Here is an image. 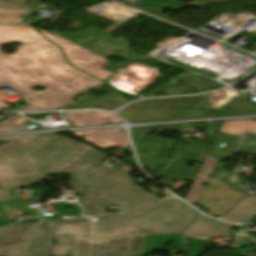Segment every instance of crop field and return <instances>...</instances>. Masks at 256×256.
<instances>
[{
  "instance_id": "1",
  "label": "crop field",
  "mask_w": 256,
  "mask_h": 256,
  "mask_svg": "<svg viewBox=\"0 0 256 256\" xmlns=\"http://www.w3.org/2000/svg\"><path fill=\"white\" fill-rule=\"evenodd\" d=\"M95 149L58 136L38 135L18 150L0 152V189L39 182L43 173L72 174V187L86 196L85 215L103 214V206H121V214L143 212L172 197L151 195L130 183L131 167L109 168Z\"/></svg>"
},
{
  "instance_id": "2",
  "label": "crop field",
  "mask_w": 256,
  "mask_h": 256,
  "mask_svg": "<svg viewBox=\"0 0 256 256\" xmlns=\"http://www.w3.org/2000/svg\"><path fill=\"white\" fill-rule=\"evenodd\" d=\"M11 42H23V45L16 54L0 53V83H11L31 106L20 111L54 110L67 104L81 90L104 84L68 65L59 48L31 27L0 26V47ZM37 85L45 90L31 92ZM0 108L11 110L1 100Z\"/></svg>"
},
{
  "instance_id": "3",
  "label": "crop field",
  "mask_w": 256,
  "mask_h": 256,
  "mask_svg": "<svg viewBox=\"0 0 256 256\" xmlns=\"http://www.w3.org/2000/svg\"><path fill=\"white\" fill-rule=\"evenodd\" d=\"M198 211L173 198L137 216H99L91 256H137L146 234H182Z\"/></svg>"
},
{
  "instance_id": "4",
  "label": "crop field",
  "mask_w": 256,
  "mask_h": 256,
  "mask_svg": "<svg viewBox=\"0 0 256 256\" xmlns=\"http://www.w3.org/2000/svg\"><path fill=\"white\" fill-rule=\"evenodd\" d=\"M105 59L117 56L127 61L148 58L137 53L128 54V41L120 37L118 39L111 38L110 34L92 28L85 32L63 33L53 32ZM131 50V49H130Z\"/></svg>"
},
{
  "instance_id": "5",
  "label": "crop field",
  "mask_w": 256,
  "mask_h": 256,
  "mask_svg": "<svg viewBox=\"0 0 256 256\" xmlns=\"http://www.w3.org/2000/svg\"><path fill=\"white\" fill-rule=\"evenodd\" d=\"M56 237L61 241L54 246L57 256H88L93 225L88 218L69 221H51Z\"/></svg>"
},
{
  "instance_id": "6",
  "label": "crop field",
  "mask_w": 256,
  "mask_h": 256,
  "mask_svg": "<svg viewBox=\"0 0 256 256\" xmlns=\"http://www.w3.org/2000/svg\"><path fill=\"white\" fill-rule=\"evenodd\" d=\"M182 143L185 146H181ZM179 141L170 164L161 171L153 174L163 176L166 181L184 180L194 181L199 169L185 168L188 161L202 162L209 147L207 145Z\"/></svg>"
},
{
  "instance_id": "7",
  "label": "crop field",
  "mask_w": 256,
  "mask_h": 256,
  "mask_svg": "<svg viewBox=\"0 0 256 256\" xmlns=\"http://www.w3.org/2000/svg\"><path fill=\"white\" fill-rule=\"evenodd\" d=\"M37 29L41 31L53 43L61 46L66 55L67 60L71 62L76 68L102 81L114 74L103 69L105 65L109 64L107 60L73 43H70L50 32L44 31L39 28Z\"/></svg>"
},
{
  "instance_id": "8",
  "label": "crop field",
  "mask_w": 256,
  "mask_h": 256,
  "mask_svg": "<svg viewBox=\"0 0 256 256\" xmlns=\"http://www.w3.org/2000/svg\"><path fill=\"white\" fill-rule=\"evenodd\" d=\"M217 186H220L218 189ZM212 189V190H210ZM226 195V197H224ZM244 195L227 185L223 184L215 177L209 179L208 185L204 188L198 203L208 208V215L218 217L240 200ZM229 197L230 199H226ZM210 200V202H207Z\"/></svg>"
},
{
  "instance_id": "9",
  "label": "crop field",
  "mask_w": 256,
  "mask_h": 256,
  "mask_svg": "<svg viewBox=\"0 0 256 256\" xmlns=\"http://www.w3.org/2000/svg\"><path fill=\"white\" fill-rule=\"evenodd\" d=\"M175 141L144 136L136 141L135 147L142 167L156 171L164 166ZM143 149L146 152L140 153ZM141 151V150H140Z\"/></svg>"
},
{
  "instance_id": "10",
  "label": "crop field",
  "mask_w": 256,
  "mask_h": 256,
  "mask_svg": "<svg viewBox=\"0 0 256 256\" xmlns=\"http://www.w3.org/2000/svg\"><path fill=\"white\" fill-rule=\"evenodd\" d=\"M236 94V91L225 89L220 92H216L207 97L203 101L196 104L195 108L219 110L231 113L239 114H255L256 105L249 104L246 101L247 97L243 93H238L236 101L229 100ZM243 102V104H241ZM241 104V105H238Z\"/></svg>"
},
{
  "instance_id": "11",
  "label": "crop field",
  "mask_w": 256,
  "mask_h": 256,
  "mask_svg": "<svg viewBox=\"0 0 256 256\" xmlns=\"http://www.w3.org/2000/svg\"><path fill=\"white\" fill-rule=\"evenodd\" d=\"M185 110V108L148 104L140 101L120 110L119 113L131 122H140L143 120L151 121L156 119L170 120ZM132 116L141 118L133 119Z\"/></svg>"
},
{
  "instance_id": "12",
  "label": "crop field",
  "mask_w": 256,
  "mask_h": 256,
  "mask_svg": "<svg viewBox=\"0 0 256 256\" xmlns=\"http://www.w3.org/2000/svg\"><path fill=\"white\" fill-rule=\"evenodd\" d=\"M76 136H86L83 140L96 147L123 148L129 145L122 129H103L95 131H70Z\"/></svg>"
},
{
  "instance_id": "13",
  "label": "crop field",
  "mask_w": 256,
  "mask_h": 256,
  "mask_svg": "<svg viewBox=\"0 0 256 256\" xmlns=\"http://www.w3.org/2000/svg\"><path fill=\"white\" fill-rule=\"evenodd\" d=\"M34 225H11L0 228V256H21L22 241Z\"/></svg>"
},
{
  "instance_id": "14",
  "label": "crop field",
  "mask_w": 256,
  "mask_h": 256,
  "mask_svg": "<svg viewBox=\"0 0 256 256\" xmlns=\"http://www.w3.org/2000/svg\"><path fill=\"white\" fill-rule=\"evenodd\" d=\"M198 77V75L189 72L173 84L163 89L162 91L151 95L192 93L222 86L206 79H199Z\"/></svg>"
},
{
  "instance_id": "15",
  "label": "crop field",
  "mask_w": 256,
  "mask_h": 256,
  "mask_svg": "<svg viewBox=\"0 0 256 256\" xmlns=\"http://www.w3.org/2000/svg\"><path fill=\"white\" fill-rule=\"evenodd\" d=\"M51 233L50 226H37L26 240L25 256H51L48 249Z\"/></svg>"
},
{
  "instance_id": "16",
  "label": "crop field",
  "mask_w": 256,
  "mask_h": 256,
  "mask_svg": "<svg viewBox=\"0 0 256 256\" xmlns=\"http://www.w3.org/2000/svg\"><path fill=\"white\" fill-rule=\"evenodd\" d=\"M65 113L67 120H69L75 126H88L95 124L121 122V120L114 114L102 111H73Z\"/></svg>"
},
{
  "instance_id": "17",
  "label": "crop field",
  "mask_w": 256,
  "mask_h": 256,
  "mask_svg": "<svg viewBox=\"0 0 256 256\" xmlns=\"http://www.w3.org/2000/svg\"><path fill=\"white\" fill-rule=\"evenodd\" d=\"M236 228L239 227L202 216L191 226V228L185 234L211 237H230L223 230Z\"/></svg>"
},
{
  "instance_id": "18",
  "label": "crop field",
  "mask_w": 256,
  "mask_h": 256,
  "mask_svg": "<svg viewBox=\"0 0 256 256\" xmlns=\"http://www.w3.org/2000/svg\"><path fill=\"white\" fill-rule=\"evenodd\" d=\"M217 162V159L206 157L195 181L193 182L186 201L194 204L197 202L202 190H203V185L207 182V179L214 168L215 164Z\"/></svg>"
},
{
  "instance_id": "19",
  "label": "crop field",
  "mask_w": 256,
  "mask_h": 256,
  "mask_svg": "<svg viewBox=\"0 0 256 256\" xmlns=\"http://www.w3.org/2000/svg\"><path fill=\"white\" fill-rule=\"evenodd\" d=\"M252 216H256V197H247L220 219L232 222H246Z\"/></svg>"
},
{
  "instance_id": "20",
  "label": "crop field",
  "mask_w": 256,
  "mask_h": 256,
  "mask_svg": "<svg viewBox=\"0 0 256 256\" xmlns=\"http://www.w3.org/2000/svg\"><path fill=\"white\" fill-rule=\"evenodd\" d=\"M20 8L21 6L0 0V24L19 25L26 15L32 12V10L24 7H22L23 9ZM18 14L24 15L22 19L18 17Z\"/></svg>"
},
{
  "instance_id": "21",
  "label": "crop field",
  "mask_w": 256,
  "mask_h": 256,
  "mask_svg": "<svg viewBox=\"0 0 256 256\" xmlns=\"http://www.w3.org/2000/svg\"><path fill=\"white\" fill-rule=\"evenodd\" d=\"M219 131L237 136L243 135L244 132L256 134V121L236 120L223 122Z\"/></svg>"
},
{
  "instance_id": "22",
  "label": "crop field",
  "mask_w": 256,
  "mask_h": 256,
  "mask_svg": "<svg viewBox=\"0 0 256 256\" xmlns=\"http://www.w3.org/2000/svg\"><path fill=\"white\" fill-rule=\"evenodd\" d=\"M209 95L210 94L202 95V96L172 97V98H164V99H148V100H144V101L190 107Z\"/></svg>"
},
{
  "instance_id": "23",
  "label": "crop field",
  "mask_w": 256,
  "mask_h": 256,
  "mask_svg": "<svg viewBox=\"0 0 256 256\" xmlns=\"http://www.w3.org/2000/svg\"><path fill=\"white\" fill-rule=\"evenodd\" d=\"M75 108H101V109H106V110H112L114 108L101 103L91 97L87 98L84 97L80 101L75 102L74 104L67 106L64 109H75Z\"/></svg>"
},
{
  "instance_id": "24",
  "label": "crop field",
  "mask_w": 256,
  "mask_h": 256,
  "mask_svg": "<svg viewBox=\"0 0 256 256\" xmlns=\"http://www.w3.org/2000/svg\"><path fill=\"white\" fill-rule=\"evenodd\" d=\"M7 119V121L0 124V131H18L27 129L25 126L20 124L22 121L26 120L25 118L15 115Z\"/></svg>"
},
{
  "instance_id": "25",
  "label": "crop field",
  "mask_w": 256,
  "mask_h": 256,
  "mask_svg": "<svg viewBox=\"0 0 256 256\" xmlns=\"http://www.w3.org/2000/svg\"><path fill=\"white\" fill-rule=\"evenodd\" d=\"M235 153L256 154V136L244 135Z\"/></svg>"
},
{
  "instance_id": "26",
  "label": "crop field",
  "mask_w": 256,
  "mask_h": 256,
  "mask_svg": "<svg viewBox=\"0 0 256 256\" xmlns=\"http://www.w3.org/2000/svg\"><path fill=\"white\" fill-rule=\"evenodd\" d=\"M207 116H209V113L206 111L189 109L186 112L179 115L178 117L174 118L173 120L201 118V117H207Z\"/></svg>"
},
{
  "instance_id": "27",
  "label": "crop field",
  "mask_w": 256,
  "mask_h": 256,
  "mask_svg": "<svg viewBox=\"0 0 256 256\" xmlns=\"http://www.w3.org/2000/svg\"><path fill=\"white\" fill-rule=\"evenodd\" d=\"M53 205L56 212H59L68 216H70V214L81 213V210L78 205H68V202H58V203H54ZM66 206H73L74 209L72 211H68L65 208Z\"/></svg>"
},
{
  "instance_id": "28",
  "label": "crop field",
  "mask_w": 256,
  "mask_h": 256,
  "mask_svg": "<svg viewBox=\"0 0 256 256\" xmlns=\"http://www.w3.org/2000/svg\"><path fill=\"white\" fill-rule=\"evenodd\" d=\"M240 138L241 137L232 136V135L219 132L213 145L219 146L221 142L238 144Z\"/></svg>"
},
{
  "instance_id": "29",
  "label": "crop field",
  "mask_w": 256,
  "mask_h": 256,
  "mask_svg": "<svg viewBox=\"0 0 256 256\" xmlns=\"http://www.w3.org/2000/svg\"><path fill=\"white\" fill-rule=\"evenodd\" d=\"M21 136H13V137H0V142H5L8 139H11L10 145H3L0 147L1 150H11L19 148V140Z\"/></svg>"
},
{
  "instance_id": "30",
  "label": "crop field",
  "mask_w": 256,
  "mask_h": 256,
  "mask_svg": "<svg viewBox=\"0 0 256 256\" xmlns=\"http://www.w3.org/2000/svg\"><path fill=\"white\" fill-rule=\"evenodd\" d=\"M231 154H232V152L219 150L215 147H211V150H210L208 156L215 157V158H218L220 160H226V159L231 157Z\"/></svg>"
},
{
  "instance_id": "31",
  "label": "crop field",
  "mask_w": 256,
  "mask_h": 256,
  "mask_svg": "<svg viewBox=\"0 0 256 256\" xmlns=\"http://www.w3.org/2000/svg\"><path fill=\"white\" fill-rule=\"evenodd\" d=\"M154 126H149L147 128H135L131 129V136L133 138V141L138 140L139 138L143 137V135L150 130L154 129Z\"/></svg>"
},
{
  "instance_id": "32",
  "label": "crop field",
  "mask_w": 256,
  "mask_h": 256,
  "mask_svg": "<svg viewBox=\"0 0 256 256\" xmlns=\"http://www.w3.org/2000/svg\"><path fill=\"white\" fill-rule=\"evenodd\" d=\"M249 246L247 237L233 239L232 249Z\"/></svg>"
},
{
  "instance_id": "33",
  "label": "crop field",
  "mask_w": 256,
  "mask_h": 256,
  "mask_svg": "<svg viewBox=\"0 0 256 256\" xmlns=\"http://www.w3.org/2000/svg\"><path fill=\"white\" fill-rule=\"evenodd\" d=\"M9 1L24 5V6L28 5L27 7H30V8L35 6L37 3L41 2L39 0H9Z\"/></svg>"
},
{
  "instance_id": "34",
  "label": "crop field",
  "mask_w": 256,
  "mask_h": 256,
  "mask_svg": "<svg viewBox=\"0 0 256 256\" xmlns=\"http://www.w3.org/2000/svg\"><path fill=\"white\" fill-rule=\"evenodd\" d=\"M13 192H8V191H0V201H8L12 199H16L17 197L11 196Z\"/></svg>"
},
{
  "instance_id": "35",
  "label": "crop field",
  "mask_w": 256,
  "mask_h": 256,
  "mask_svg": "<svg viewBox=\"0 0 256 256\" xmlns=\"http://www.w3.org/2000/svg\"><path fill=\"white\" fill-rule=\"evenodd\" d=\"M36 135H31V136H23L22 139V145L26 144L28 141H30L32 138H34Z\"/></svg>"
},
{
  "instance_id": "36",
  "label": "crop field",
  "mask_w": 256,
  "mask_h": 256,
  "mask_svg": "<svg viewBox=\"0 0 256 256\" xmlns=\"http://www.w3.org/2000/svg\"><path fill=\"white\" fill-rule=\"evenodd\" d=\"M124 162L130 163V164H133V165L136 164L135 160H134V156H131V157L125 159Z\"/></svg>"
},
{
  "instance_id": "37",
  "label": "crop field",
  "mask_w": 256,
  "mask_h": 256,
  "mask_svg": "<svg viewBox=\"0 0 256 256\" xmlns=\"http://www.w3.org/2000/svg\"><path fill=\"white\" fill-rule=\"evenodd\" d=\"M44 114H47V113H35V114H24V115L35 118V117H38V116H41V115H44Z\"/></svg>"
},
{
  "instance_id": "38",
  "label": "crop field",
  "mask_w": 256,
  "mask_h": 256,
  "mask_svg": "<svg viewBox=\"0 0 256 256\" xmlns=\"http://www.w3.org/2000/svg\"><path fill=\"white\" fill-rule=\"evenodd\" d=\"M251 119H256V118H251Z\"/></svg>"
},
{
  "instance_id": "39",
  "label": "crop field",
  "mask_w": 256,
  "mask_h": 256,
  "mask_svg": "<svg viewBox=\"0 0 256 256\" xmlns=\"http://www.w3.org/2000/svg\"><path fill=\"white\" fill-rule=\"evenodd\" d=\"M253 135V134H252Z\"/></svg>"
}]
</instances>
